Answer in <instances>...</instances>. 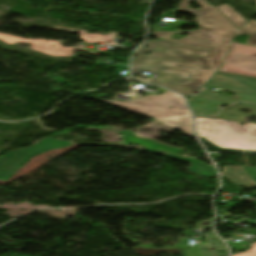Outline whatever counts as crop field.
<instances>
[{"instance_id": "18", "label": "crop field", "mask_w": 256, "mask_h": 256, "mask_svg": "<svg viewBox=\"0 0 256 256\" xmlns=\"http://www.w3.org/2000/svg\"><path fill=\"white\" fill-rule=\"evenodd\" d=\"M50 78H52L53 82H56V83H58V84L60 85V88H58V89H56V88L54 87V90H56V91L62 89L61 85H62L63 83H69V82L65 81L63 78H61V77H59V76H57V75H51Z\"/></svg>"}, {"instance_id": "21", "label": "crop field", "mask_w": 256, "mask_h": 256, "mask_svg": "<svg viewBox=\"0 0 256 256\" xmlns=\"http://www.w3.org/2000/svg\"><path fill=\"white\" fill-rule=\"evenodd\" d=\"M131 43H132V42H126L123 46H126V47H128V48H129V47H130V45H131Z\"/></svg>"}, {"instance_id": "10", "label": "crop field", "mask_w": 256, "mask_h": 256, "mask_svg": "<svg viewBox=\"0 0 256 256\" xmlns=\"http://www.w3.org/2000/svg\"><path fill=\"white\" fill-rule=\"evenodd\" d=\"M243 77L228 75L220 73L213 80H211L205 88L214 89L216 87L230 90L237 83H239Z\"/></svg>"}, {"instance_id": "14", "label": "crop field", "mask_w": 256, "mask_h": 256, "mask_svg": "<svg viewBox=\"0 0 256 256\" xmlns=\"http://www.w3.org/2000/svg\"><path fill=\"white\" fill-rule=\"evenodd\" d=\"M218 9L239 29L247 23L239 14L235 13L229 5H222V7H219Z\"/></svg>"}, {"instance_id": "6", "label": "crop field", "mask_w": 256, "mask_h": 256, "mask_svg": "<svg viewBox=\"0 0 256 256\" xmlns=\"http://www.w3.org/2000/svg\"><path fill=\"white\" fill-rule=\"evenodd\" d=\"M119 134L122 135L124 145L144 146V147H147V150H149L151 152L166 154L168 157L176 158V159L187 161V162L191 163L192 167L189 168L188 170L203 177V178L212 177L213 174L216 173L215 168H213L205 163H202L195 159L185 158L183 156L177 155L178 152L183 151L179 148L166 146L164 144H161V143L156 142L151 139L138 137L137 135H135L134 133H132L130 131L119 132ZM160 147H164V148H160Z\"/></svg>"}, {"instance_id": "5", "label": "crop field", "mask_w": 256, "mask_h": 256, "mask_svg": "<svg viewBox=\"0 0 256 256\" xmlns=\"http://www.w3.org/2000/svg\"><path fill=\"white\" fill-rule=\"evenodd\" d=\"M102 102L154 119L191 117L183 98L168 91L160 96H146L129 102L108 100H102ZM170 106L174 108L170 109Z\"/></svg>"}, {"instance_id": "20", "label": "crop field", "mask_w": 256, "mask_h": 256, "mask_svg": "<svg viewBox=\"0 0 256 256\" xmlns=\"http://www.w3.org/2000/svg\"><path fill=\"white\" fill-rule=\"evenodd\" d=\"M253 143V149L256 151V137L252 140Z\"/></svg>"}, {"instance_id": "12", "label": "crop field", "mask_w": 256, "mask_h": 256, "mask_svg": "<svg viewBox=\"0 0 256 256\" xmlns=\"http://www.w3.org/2000/svg\"><path fill=\"white\" fill-rule=\"evenodd\" d=\"M188 102L196 116H207V117L215 116V118H217L219 113L223 110L221 108H217L209 105L199 104V103L190 102V101Z\"/></svg>"}, {"instance_id": "19", "label": "crop field", "mask_w": 256, "mask_h": 256, "mask_svg": "<svg viewBox=\"0 0 256 256\" xmlns=\"http://www.w3.org/2000/svg\"><path fill=\"white\" fill-rule=\"evenodd\" d=\"M116 68H121V69H119V70H114L116 73H118V74H120V72L122 71V70H126V71H128V67H125V66H120V65H118Z\"/></svg>"}, {"instance_id": "9", "label": "crop field", "mask_w": 256, "mask_h": 256, "mask_svg": "<svg viewBox=\"0 0 256 256\" xmlns=\"http://www.w3.org/2000/svg\"><path fill=\"white\" fill-rule=\"evenodd\" d=\"M0 40L9 45H13L16 42L30 43L32 44L31 49L52 55L54 57H59V56L72 57L73 50H76V49L86 50L83 48L84 47L83 45H79L78 47H72V48H63L58 46V44L60 43L58 41L24 40V39L16 38V37H13L7 34H1V33H0ZM42 44H45V46H42ZM90 53H95V52H90Z\"/></svg>"}, {"instance_id": "13", "label": "crop field", "mask_w": 256, "mask_h": 256, "mask_svg": "<svg viewBox=\"0 0 256 256\" xmlns=\"http://www.w3.org/2000/svg\"><path fill=\"white\" fill-rule=\"evenodd\" d=\"M164 123H167L169 125L178 127L182 129L187 135L194 137L193 136V131H192V118H178L175 120H158Z\"/></svg>"}, {"instance_id": "8", "label": "crop field", "mask_w": 256, "mask_h": 256, "mask_svg": "<svg viewBox=\"0 0 256 256\" xmlns=\"http://www.w3.org/2000/svg\"><path fill=\"white\" fill-rule=\"evenodd\" d=\"M224 61L222 72L256 77V48L234 43Z\"/></svg>"}, {"instance_id": "3", "label": "crop field", "mask_w": 256, "mask_h": 256, "mask_svg": "<svg viewBox=\"0 0 256 256\" xmlns=\"http://www.w3.org/2000/svg\"><path fill=\"white\" fill-rule=\"evenodd\" d=\"M163 67L167 68L166 71H160V69ZM142 71L156 75L153 79L147 78V80H144L136 78L137 80L168 87L186 96L199 90L215 73L213 71L179 66L133 65L134 74H139Z\"/></svg>"}, {"instance_id": "1", "label": "crop field", "mask_w": 256, "mask_h": 256, "mask_svg": "<svg viewBox=\"0 0 256 256\" xmlns=\"http://www.w3.org/2000/svg\"><path fill=\"white\" fill-rule=\"evenodd\" d=\"M145 45L150 47L144 48ZM148 51H152L150 55L142 54ZM227 51L225 48L166 40L146 41L134 58L133 64H167L218 71Z\"/></svg>"}, {"instance_id": "7", "label": "crop field", "mask_w": 256, "mask_h": 256, "mask_svg": "<svg viewBox=\"0 0 256 256\" xmlns=\"http://www.w3.org/2000/svg\"><path fill=\"white\" fill-rule=\"evenodd\" d=\"M69 142L54 141L49 138L43 142L21 152H12L0 157V180H8L32 156L42 154L48 150L61 149L70 146Z\"/></svg>"}, {"instance_id": "2", "label": "crop field", "mask_w": 256, "mask_h": 256, "mask_svg": "<svg viewBox=\"0 0 256 256\" xmlns=\"http://www.w3.org/2000/svg\"><path fill=\"white\" fill-rule=\"evenodd\" d=\"M190 1L198 2L202 8L192 9L189 5ZM177 10L194 13L200 29L188 32L190 35L180 41L172 40V34L184 32L156 31L153 32L154 36L176 42L229 48L238 32L232 22L206 0H182Z\"/></svg>"}, {"instance_id": "4", "label": "crop field", "mask_w": 256, "mask_h": 256, "mask_svg": "<svg viewBox=\"0 0 256 256\" xmlns=\"http://www.w3.org/2000/svg\"><path fill=\"white\" fill-rule=\"evenodd\" d=\"M200 137L223 149L253 151L251 140L256 136V125L197 118Z\"/></svg>"}, {"instance_id": "17", "label": "crop field", "mask_w": 256, "mask_h": 256, "mask_svg": "<svg viewBox=\"0 0 256 256\" xmlns=\"http://www.w3.org/2000/svg\"><path fill=\"white\" fill-rule=\"evenodd\" d=\"M233 256H256V243L252 245V249Z\"/></svg>"}, {"instance_id": "15", "label": "crop field", "mask_w": 256, "mask_h": 256, "mask_svg": "<svg viewBox=\"0 0 256 256\" xmlns=\"http://www.w3.org/2000/svg\"><path fill=\"white\" fill-rule=\"evenodd\" d=\"M244 34L250 35L246 43L256 45V20H250L239 30L237 36Z\"/></svg>"}, {"instance_id": "11", "label": "crop field", "mask_w": 256, "mask_h": 256, "mask_svg": "<svg viewBox=\"0 0 256 256\" xmlns=\"http://www.w3.org/2000/svg\"><path fill=\"white\" fill-rule=\"evenodd\" d=\"M40 28H44V27H40ZM48 29H55V30H63V31H70V32H74V33H80L82 35L80 38L84 39L87 44L88 43H96V42H108L111 39H113L115 34H117V33L124 34V33H121V32H109L110 33L109 36H102L100 34L88 35V34L83 33L81 31L71 30V29H67V28H60V27H52V28H48ZM124 35H128V34H124ZM129 36H137V35H129Z\"/></svg>"}, {"instance_id": "16", "label": "crop field", "mask_w": 256, "mask_h": 256, "mask_svg": "<svg viewBox=\"0 0 256 256\" xmlns=\"http://www.w3.org/2000/svg\"><path fill=\"white\" fill-rule=\"evenodd\" d=\"M242 169L248 175V177L252 180V182L256 183V168L242 167Z\"/></svg>"}]
</instances>
